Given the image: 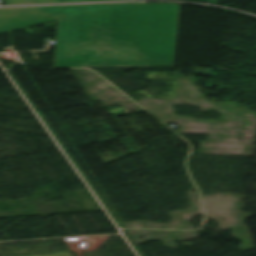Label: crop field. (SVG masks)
Returning a JSON list of instances; mask_svg holds the SVG:
<instances>
[{"label":"crop field","instance_id":"3","mask_svg":"<svg viewBox=\"0 0 256 256\" xmlns=\"http://www.w3.org/2000/svg\"><path fill=\"white\" fill-rule=\"evenodd\" d=\"M127 4L0 8V34Z\"/></svg>","mask_w":256,"mask_h":256},{"label":"crop field","instance_id":"7","mask_svg":"<svg viewBox=\"0 0 256 256\" xmlns=\"http://www.w3.org/2000/svg\"><path fill=\"white\" fill-rule=\"evenodd\" d=\"M4 2H17V1H45V0H3Z\"/></svg>","mask_w":256,"mask_h":256},{"label":"crop field","instance_id":"2","mask_svg":"<svg viewBox=\"0 0 256 256\" xmlns=\"http://www.w3.org/2000/svg\"><path fill=\"white\" fill-rule=\"evenodd\" d=\"M111 9L59 21L56 67H84L85 49H107Z\"/></svg>","mask_w":256,"mask_h":256},{"label":"crop field","instance_id":"6","mask_svg":"<svg viewBox=\"0 0 256 256\" xmlns=\"http://www.w3.org/2000/svg\"><path fill=\"white\" fill-rule=\"evenodd\" d=\"M91 1H122V0H60V1H46V2H18V3H5V5H14V4H32V3H57V2H91Z\"/></svg>","mask_w":256,"mask_h":256},{"label":"crop field","instance_id":"5","mask_svg":"<svg viewBox=\"0 0 256 256\" xmlns=\"http://www.w3.org/2000/svg\"><path fill=\"white\" fill-rule=\"evenodd\" d=\"M107 50H86L85 67H106Z\"/></svg>","mask_w":256,"mask_h":256},{"label":"crop field","instance_id":"4","mask_svg":"<svg viewBox=\"0 0 256 256\" xmlns=\"http://www.w3.org/2000/svg\"><path fill=\"white\" fill-rule=\"evenodd\" d=\"M158 62L131 49L109 48L107 67L157 66Z\"/></svg>","mask_w":256,"mask_h":256},{"label":"crop field","instance_id":"1","mask_svg":"<svg viewBox=\"0 0 256 256\" xmlns=\"http://www.w3.org/2000/svg\"><path fill=\"white\" fill-rule=\"evenodd\" d=\"M179 6L137 3L112 9L109 47H132L158 66H173Z\"/></svg>","mask_w":256,"mask_h":256},{"label":"crop field","instance_id":"8","mask_svg":"<svg viewBox=\"0 0 256 256\" xmlns=\"http://www.w3.org/2000/svg\"><path fill=\"white\" fill-rule=\"evenodd\" d=\"M190 1H200V2H208V3H213L216 4V0H190Z\"/></svg>","mask_w":256,"mask_h":256}]
</instances>
